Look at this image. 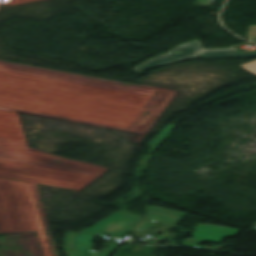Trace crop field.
<instances>
[{
    "label": "crop field",
    "instance_id": "f4fd0767",
    "mask_svg": "<svg viewBox=\"0 0 256 256\" xmlns=\"http://www.w3.org/2000/svg\"><path fill=\"white\" fill-rule=\"evenodd\" d=\"M176 126L173 124H169L164 130H162L150 143L149 145H157L159 146L162 144L164 141H166L171 135V131L175 128Z\"/></svg>",
    "mask_w": 256,
    "mask_h": 256
},
{
    "label": "crop field",
    "instance_id": "412701ff",
    "mask_svg": "<svg viewBox=\"0 0 256 256\" xmlns=\"http://www.w3.org/2000/svg\"><path fill=\"white\" fill-rule=\"evenodd\" d=\"M183 215H184L183 213H179V212H175V211H171V210H167V209H163V208H159L151 205H149L148 207V220H152V221H156V222H160L168 225H172L175 221H177ZM155 224H156L155 222L145 221L138 229L149 231Z\"/></svg>",
    "mask_w": 256,
    "mask_h": 256
},
{
    "label": "crop field",
    "instance_id": "ac0d7876",
    "mask_svg": "<svg viewBox=\"0 0 256 256\" xmlns=\"http://www.w3.org/2000/svg\"><path fill=\"white\" fill-rule=\"evenodd\" d=\"M256 53L244 54L234 48L232 49H213L204 50L201 43H197L180 50L158 56L136 68L135 71L140 73L148 68L164 65L180 60L190 59L194 57L202 56L203 58H215V57H235V56H255Z\"/></svg>",
    "mask_w": 256,
    "mask_h": 256
},
{
    "label": "crop field",
    "instance_id": "5a996713",
    "mask_svg": "<svg viewBox=\"0 0 256 256\" xmlns=\"http://www.w3.org/2000/svg\"><path fill=\"white\" fill-rule=\"evenodd\" d=\"M196 42H199V41L197 40V41H194V42L186 43V44H184V45H182V46H178L177 48H175V49H173V50H171V51L180 49V48H182V47H185V46H188V45H191V44H194V43H196ZM171 51H169V52H171Z\"/></svg>",
    "mask_w": 256,
    "mask_h": 256
},
{
    "label": "crop field",
    "instance_id": "dd49c442",
    "mask_svg": "<svg viewBox=\"0 0 256 256\" xmlns=\"http://www.w3.org/2000/svg\"><path fill=\"white\" fill-rule=\"evenodd\" d=\"M63 249H64L65 253L67 254V256H95L92 254L80 252V251L65 248V247H63Z\"/></svg>",
    "mask_w": 256,
    "mask_h": 256
},
{
    "label": "crop field",
    "instance_id": "e52e79f7",
    "mask_svg": "<svg viewBox=\"0 0 256 256\" xmlns=\"http://www.w3.org/2000/svg\"><path fill=\"white\" fill-rule=\"evenodd\" d=\"M247 39L252 41L256 40V26H250Z\"/></svg>",
    "mask_w": 256,
    "mask_h": 256
},
{
    "label": "crop field",
    "instance_id": "3316defc",
    "mask_svg": "<svg viewBox=\"0 0 256 256\" xmlns=\"http://www.w3.org/2000/svg\"><path fill=\"white\" fill-rule=\"evenodd\" d=\"M199 1L202 2L203 4L209 6V5H210L209 2H210L211 0H199Z\"/></svg>",
    "mask_w": 256,
    "mask_h": 256
},
{
    "label": "crop field",
    "instance_id": "d8731c3e",
    "mask_svg": "<svg viewBox=\"0 0 256 256\" xmlns=\"http://www.w3.org/2000/svg\"><path fill=\"white\" fill-rule=\"evenodd\" d=\"M241 66L253 73H255V71H256V61L252 62V63L245 64V65H241Z\"/></svg>",
    "mask_w": 256,
    "mask_h": 256
},
{
    "label": "crop field",
    "instance_id": "8a807250",
    "mask_svg": "<svg viewBox=\"0 0 256 256\" xmlns=\"http://www.w3.org/2000/svg\"><path fill=\"white\" fill-rule=\"evenodd\" d=\"M142 220L143 217L120 211L80 234L68 232L64 246L99 256H110L117 246L111 245L104 254L90 250L95 235L123 236L134 230Z\"/></svg>",
    "mask_w": 256,
    "mask_h": 256
},
{
    "label": "crop field",
    "instance_id": "34b2d1b8",
    "mask_svg": "<svg viewBox=\"0 0 256 256\" xmlns=\"http://www.w3.org/2000/svg\"><path fill=\"white\" fill-rule=\"evenodd\" d=\"M241 231L242 230L240 229L200 224L195 229L194 233L191 234L194 238L185 239L182 242V245L214 250V248L202 247L198 245H200L202 242L219 244L224 239L237 236Z\"/></svg>",
    "mask_w": 256,
    "mask_h": 256
}]
</instances>
